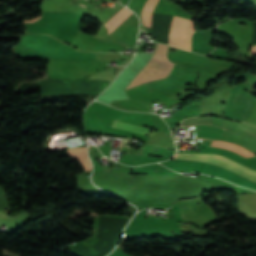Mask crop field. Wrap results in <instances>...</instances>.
Listing matches in <instances>:
<instances>
[{
    "label": "crop field",
    "instance_id": "obj_1",
    "mask_svg": "<svg viewBox=\"0 0 256 256\" xmlns=\"http://www.w3.org/2000/svg\"><path fill=\"white\" fill-rule=\"evenodd\" d=\"M167 52L168 46L158 44L151 60L141 70L127 89L144 82L170 76L174 64L168 61L166 56Z\"/></svg>",
    "mask_w": 256,
    "mask_h": 256
},
{
    "label": "crop field",
    "instance_id": "obj_2",
    "mask_svg": "<svg viewBox=\"0 0 256 256\" xmlns=\"http://www.w3.org/2000/svg\"><path fill=\"white\" fill-rule=\"evenodd\" d=\"M172 159H185V160L208 162V163L220 166L224 169H227L231 172H234L238 175H241L245 178H248V179L256 182V172L255 171H252V170H250L246 167H243L235 162H232L224 157L217 156L214 154H180V153H176V155Z\"/></svg>",
    "mask_w": 256,
    "mask_h": 256
},
{
    "label": "crop field",
    "instance_id": "obj_3",
    "mask_svg": "<svg viewBox=\"0 0 256 256\" xmlns=\"http://www.w3.org/2000/svg\"><path fill=\"white\" fill-rule=\"evenodd\" d=\"M186 20L174 17L170 28L169 44L182 48V34ZM195 31L192 21L187 20L183 34V48L190 51L192 34Z\"/></svg>",
    "mask_w": 256,
    "mask_h": 256
},
{
    "label": "crop field",
    "instance_id": "obj_4",
    "mask_svg": "<svg viewBox=\"0 0 256 256\" xmlns=\"http://www.w3.org/2000/svg\"><path fill=\"white\" fill-rule=\"evenodd\" d=\"M67 152H68V155L77 159L86 171L91 170L90 163L86 154V147L68 148Z\"/></svg>",
    "mask_w": 256,
    "mask_h": 256
},
{
    "label": "crop field",
    "instance_id": "obj_5",
    "mask_svg": "<svg viewBox=\"0 0 256 256\" xmlns=\"http://www.w3.org/2000/svg\"><path fill=\"white\" fill-rule=\"evenodd\" d=\"M132 12L126 8H122L105 26L110 33L114 30L120 23H122Z\"/></svg>",
    "mask_w": 256,
    "mask_h": 256
},
{
    "label": "crop field",
    "instance_id": "obj_6",
    "mask_svg": "<svg viewBox=\"0 0 256 256\" xmlns=\"http://www.w3.org/2000/svg\"><path fill=\"white\" fill-rule=\"evenodd\" d=\"M214 145L236 151L238 153L244 154L249 157L254 156V154L250 153L248 150H246L240 146H237L235 144L225 143V142H221V141H215Z\"/></svg>",
    "mask_w": 256,
    "mask_h": 256
},
{
    "label": "crop field",
    "instance_id": "obj_7",
    "mask_svg": "<svg viewBox=\"0 0 256 256\" xmlns=\"http://www.w3.org/2000/svg\"><path fill=\"white\" fill-rule=\"evenodd\" d=\"M112 126L117 127V128H121V129H125V130H129V131H133V132L142 133V134H146L150 130V129H147V128L126 124V123L119 122V121H114Z\"/></svg>",
    "mask_w": 256,
    "mask_h": 256
},
{
    "label": "crop field",
    "instance_id": "obj_8",
    "mask_svg": "<svg viewBox=\"0 0 256 256\" xmlns=\"http://www.w3.org/2000/svg\"><path fill=\"white\" fill-rule=\"evenodd\" d=\"M158 0H149L142 16L143 24L150 27L151 26V12Z\"/></svg>",
    "mask_w": 256,
    "mask_h": 256
},
{
    "label": "crop field",
    "instance_id": "obj_9",
    "mask_svg": "<svg viewBox=\"0 0 256 256\" xmlns=\"http://www.w3.org/2000/svg\"><path fill=\"white\" fill-rule=\"evenodd\" d=\"M250 54L256 55V46H251Z\"/></svg>",
    "mask_w": 256,
    "mask_h": 256
},
{
    "label": "crop field",
    "instance_id": "obj_10",
    "mask_svg": "<svg viewBox=\"0 0 256 256\" xmlns=\"http://www.w3.org/2000/svg\"><path fill=\"white\" fill-rule=\"evenodd\" d=\"M80 6H83V7H84V5H82V4H80Z\"/></svg>",
    "mask_w": 256,
    "mask_h": 256
},
{
    "label": "crop field",
    "instance_id": "obj_11",
    "mask_svg": "<svg viewBox=\"0 0 256 256\" xmlns=\"http://www.w3.org/2000/svg\"><path fill=\"white\" fill-rule=\"evenodd\" d=\"M196 139H199V138H196ZM207 139V138H206Z\"/></svg>",
    "mask_w": 256,
    "mask_h": 256
}]
</instances>
